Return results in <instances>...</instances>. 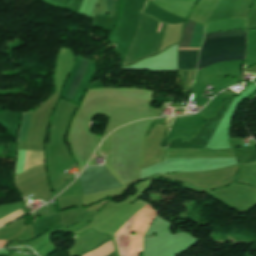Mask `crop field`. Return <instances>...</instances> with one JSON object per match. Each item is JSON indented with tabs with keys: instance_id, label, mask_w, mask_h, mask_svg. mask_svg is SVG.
Masks as SVG:
<instances>
[{
	"instance_id": "obj_4",
	"label": "crop field",
	"mask_w": 256,
	"mask_h": 256,
	"mask_svg": "<svg viewBox=\"0 0 256 256\" xmlns=\"http://www.w3.org/2000/svg\"><path fill=\"white\" fill-rule=\"evenodd\" d=\"M105 168V166L85 168L84 172L79 178L80 183L82 185L83 194L92 185V183L97 179V177L103 172ZM120 186L122 185L106 168L85 194L114 189Z\"/></svg>"
},
{
	"instance_id": "obj_1",
	"label": "crop field",
	"mask_w": 256,
	"mask_h": 256,
	"mask_svg": "<svg viewBox=\"0 0 256 256\" xmlns=\"http://www.w3.org/2000/svg\"><path fill=\"white\" fill-rule=\"evenodd\" d=\"M231 35H246V31H232V32H215L205 35V39L231 36ZM246 52V36H231L218 39L206 40L200 51L199 60L220 54V53H237ZM246 53L237 54H220L205 58L199 61L198 70L207 67L211 64L230 61V60H244Z\"/></svg>"
},
{
	"instance_id": "obj_6",
	"label": "crop field",
	"mask_w": 256,
	"mask_h": 256,
	"mask_svg": "<svg viewBox=\"0 0 256 256\" xmlns=\"http://www.w3.org/2000/svg\"><path fill=\"white\" fill-rule=\"evenodd\" d=\"M85 63H86V60L85 59H83V61H82V63H81V65H80V68H79V70H78V73H77V75H76V78H75V80H74V83H73V85H72V88H71V90H70V93H69V96H68V100L71 98V96H72V94H73V92H74V90H75V87H76V85H77V83H78V81H79V79H80V77H81V75H82V73H83V70H84V68H85ZM87 64V63H86ZM85 71V70H84ZM84 74V73H83ZM83 76V75H82ZM82 78V77H81ZM81 81V80H80ZM80 83V82H79ZM79 85V84H78ZM78 87V86H77ZM77 89V88H76ZM76 91V90H75ZM75 93V92H74ZM74 95V94H73ZM73 97V96H72ZM72 99V98H71Z\"/></svg>"
},
{
	"instance_id": "obj_8",
	"label": "crop field",
	"mask_w": 256,
	"mask_h": 256,
	"mask_svg": "<svg viewBox=\"0 0 256 256\" xmlns=\"http://www.w3.org/2000/svg\"><path fill=\"white\" fill-rule=\"evenodd\" d=\"M107 6H108L109 17H111L112 16V0H107ZM113 16H114V0H113Z\"/></svg>"
},
{
	"instance_id": "obj_3",
	"label": "crop field",
	"mask_w": 256,
	"mask_h": 256,
	"mask_svg": "<svg viewBox=\"0 0 256 256\" xmlns=\"http://www.w3.org/2000/svg\"><path fill=\"white\" fill-rule=\"evenodd\" d=\"M195 22L188 20L184 27L183 38L179 43V48H189L195 28ZM204 37V26L196 24L194 36L190 48H199ZM179 50H199V49H179ZM199 51H179L178 70L196 69L197 56Z\"/></svg>"
},
{
	"instance_id": "obj_2",
	"label": "crop field",
	"mask_w": 256,
	"mask_h": 256,
	"mask_svg": "<svg viewBox=\"0 0 256 256\" xmlns=\"http://www.w3.org/2000/svg\"><path fill=\"white\" fill-rule=\"evenodd\" d=\"M159 24L156 20L141 14L138 30L124 65L132 64L142 58L159 53L167 27V25L161 23V31L159 28L160 33H157Z\"/></svg>"
},
{
	"instance_id": "obj_7",
	"label": "crop field",
	"mask_w": 256,
	"mask_h": 256,
	"mask_svg": "<svg viewBox=\"0 0 256 256\" xmlns=\"http://www.w3.org/2000/svg\"><path fill=\"white\" fill-rule=\"evenodd\" d=\"M25 154H26V151H18V161H17V165H16V175L23 172Z\"/></svg>"
},
{
	"instance_id": "obj_5",
	"label": "crop field",
	"mask_w": 256,
	"mask_h": 256,
	"mask_svg": "<svg viewBox=\"0 0 256 256\" xmlns=\"http://www.w3.org/2000/svg\"><path fill=\"white\" fill-rule=\"evenodd\" d=\"M31 115L24 114L19 140L26 141Z\"/></svg>"
}]
</instances>
